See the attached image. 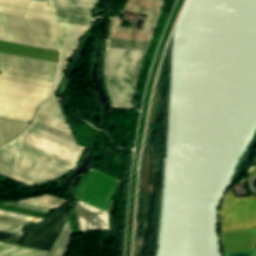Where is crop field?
<instances>
[{
	"instance_id": "crop-field-2",
	"label": "crop field",
	"mask_w": 256,
	"mask_h": 256,
	"mask_svg": "<svg viewBox=\"0 0 256 256\" xmlns=\"http://www.w3.org/2000/svg\"><path fill=\"white\" fill-rule=\"evenodd\" d=\"M222 239L225 252L251 249L256 241V226L244 230L223 232Z\"/></svg>"
},
{
	"instance_id": "crop-field-1",
	"label": "crop field",
	"mask_w": 256,
	"mask_h": 256,
	"mask_svg": "<svg viewBox=\"0 0 256 256\" xmlns=\"http://www.w3.org/2000/svg\"><path fill=\"white\" fill-rule=\"evenodd\" d=\"M242 200L256 220V198L252 195L243 197ZM242 200L235 197L230 190L221 209L223 230L241 229L256 224Z\"/></svg>"
},
{
	"instance_id": "crop-field-3",
	"label": "crop field",
	"mask_w": 256,
	"mask_h": 256,
	"mask_svg": "<svg viewBox=\"0 0 256 256\" xmlns=\"http://www.w3.org/2000/svg\"><path fill=\"white\" fill-rule=\"evenodd\" d=\"M246 252H250V255H249V253H246ZM239 253H246V254L233 255V254H239ZM255 254H256L255 249L225 253L226 256H229V255H233V256H248V255L249 256H255Z\"/></svg>"
}]
</instances>
